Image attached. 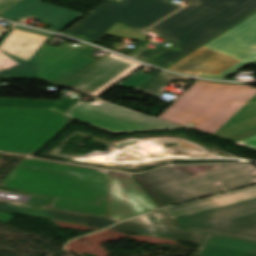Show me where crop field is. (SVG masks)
I'll return each instance as SVG.
<instances>
[{"instance_id":"crop-field-22","label":"crop field","mask_w":256,"mask_h":256,"mask_svg":"<svg viewBox=\"0 0 256 256\" xmlns=\"http://www.w3.org/2000/svg\"><path fill=\"white\" fill-rule=\"evenodd\" d=\"M218 165L174 167L191 178Z\"/></svg>"},{"instance_id":"crop-field-27","label":"crop field","mask_w":256,"mask_h":256,"mask_svg":"<svg viewBox=\"0 0 256 256\" xmlns=\"http://www.w3.org/2000/svg\"><path fill=\"white\" fill-rule=\"evenodd\" d=\"M143 47H145L144 45H140L139 47H137L129 56L133 57L136 53H138Z\"/></svg>"},{"instance_id":"crop-field-4","label":"crop field","mask_w":256,"mask_h":256,"mask_svg":"<svg viewBox=\"0 0 256 256\" xmlns=\"http://www.w3.org/2000/svg\"><path fill=\"white\" fill-rule=\"evenodd\" d=\"M256 60V14L167 69L225 79Z\"/></svg>"},{"instance_id":"crop-field-1","label":"crop field","mask_w":256,"mask_h":256,"mask_svg":"<svg viewBox=\"0 0 256 256\" xmlns=\"http://www.w3.org/2000/svg\"><path fill=\"white\" fill-rule=\"evenodd\" d=\"M170 1L109 0L63 34L94 42L117 21L140 31L180 8ZM180 1L190 4L145 31L167 39L172 45L155 52L144 50L136 59L166 68L256 13V0Z\"/></svg>"},{"instance_id":"crop-field-31","label":"crop field","mask_w":256,"mask_h":256,"mask_svg":"<svg viewBox=\"0 0 256 256\" xmlns=\"http://www.w3.org/2000/svg\"><path fill=\"white\" fill-rule=\"evenodd\" d=\"M118 1H121V0H118Z\"/></svg>"},{"instance_id":"crop-field-2","label":"crop field","mask_w":256,"mask_h":256,"mask_svg":"<svg viewBox=\"0 0 256 256\" xmlns=\"http://www.w3.org/2000/svg\"><path fill=\"white\" fill-rule=\"evenodd\" d=\"M109 172L24 158L0 187L53 198L50 208L106 217Z\"/></svg>"},{"instance_id":"crop-field-17","label":"crop field","mask_w":256,"mask_h":256,"mask_svg":"<svg viewBox=\"0 0 256 256\" xmlns=\"http://www.w3.org/2000/svg\"><path fill=\"white\" fill-rule=\"evenodd\" d=\"M256 128V94L213 136L224 140Z\"/></svg>"},{"instance_id":"crop-field-11","label":"crop field","mask_w":256,"mask_h":256,"mask_svg":"<svg viewBox=\"0 0 256 256\" xmlns=\"http://www.w3.org/2000/svg\"><path fill=\"white\" fill-rule=\"evenodd\" d=\"M94 51L57 48L44 44L41 46L38 68V80L50 82L62 87L74 79L98 60L88 57Z\"/></svg>"},{"instance_id":"crop-field-29","label":"crop field","mask_w":256,"mask_h":256,"mask_svg":"<svg viewBox=\"0 0 256 256\" xmlns=\"http://www.w3.org/2000/svg\"><path fill=\"white\" fill-rule=\"evenodd\" d=\"M8 32L7 28L0 26V37L2 34Z\"/></svg>"},{"instance_id":"crop-field-30","label":"crop field","mask_w":256,"mask_h":256,"mask_svg":"<svg viewBox=\"0 0 256 256\" xmlns=\"http://www.w3.org/2000/svg\"><path fill=\"white\" fill-rule=\"evenodd\" d=\"M172 222L177 226V228H179V229H183V228H182V226L177 222V220H176V219H175V220H173Z\"/></svg>"},{"instance_id":"crop-field-3","label":"crop field","mask_w":256,"mask_h":256,"mask_svg":"<svg viewBox=\"0 0 256 256\" xmlns=\"http://www.w3.org/2000/svg\"><path fill=\"white\" fill-rule=\"evenodd\" d=\"M255 93L246 85L197 80L158 117L212 135Z\"/></svg>"},{"instance_id":"crop-field-28","label":"crop field","mask_w":256,"mask_h":256,"mask_svg":"<svg viewBox=\"0 0 256 256\" xmlns=\"http://www.w3.org/2000/svg\"><path fill=\"white\" fill-rule=\"evenodd\" d=\"M60 47H67V48L75 47V48H76V47H78V46L62 44ZM80 47H81V48H82V47H85V45H81ZM87 47H88V46H87ZM89 48H91V47H89ZM91 49L95 50L94 48H91Z\"/></svg>"},{"instance_id":"crop-field-25","label":"crop field","mask_w":256,"mask_h":256,"mask_svg":"<svg viewBox=\"0 0 256 256\" xmlns=\"http://www.w3.org/2000/svg\"><path fill=\"white\" fill-rule=\"evenodd\" d=\"M19 0H0V13L13 6Z\"/></svg>"},{"instance_id":"crop-field-10","label":"crop field","mask_w":256,"mask_h":256,"mask_svg":"<svg viewBox=\"0 0 256 256\" xmlns=\"http://www.w3.org/2000/svg\"><path fill=\"white\" fill-rule=\"evenodd\" d=\"M53 35L15 26L0 41V77L36 79L40 46Z\"/></svg>"},{"instance_id":"crop-field-6","label":"crop field","mask_w":256,"mask_h":256,"mask_svg":"<svg viewBox=\"0 0 256 256\" xmlns=\"http://www.w3.org/2000/svg\"><path fill=\"white\" fill-rule=\"evenodd\" d=\"M72 120L47 109L0 107V151L31 156Z\"/></svg>"},{"instance_id":"crop-field-23","label":"crop field","mask_w":256,"mask_h":256,"mask_svg":"<svg viewBox=\"0 0 256 256\" xmlns=\"http://www.w3.org/2000/svg\"><path fill=\"white\" fill-rule=\"evenodd\" d=\"M152 76L145 75L143 73L137 72L127 80H125L123 83H121L119 86L126 87V88H133L140 83L146 81L147 79L151 78Z\"/></svg>"},{"instance_id":"crop-field-16","label":"crop field","mask_w":256,"mask_h":256,"mask_svg":"<svg viewBox=\"0 0 256 256\" xmlns=\"http://www.w3.org/2000/svg\"><path fill=\"white\" fill-rule=\"evenodd\" d=\"M196 256H256V242L207 234Z\"/></svg>"},{"instance_id":"crop-field-19","label":"crop field","mask_w":256,"mask_h":256,"mask_svg":"<svg viewBox=\"0 0 256 256\" xmlns=\"http://www.w3.org/2000/svg\"><path fill=\"white\" fill-rule=\"evenodd\" d=\"M174 79L185 80V81L191 80V78H185V77L175 76L169 73L161 72L158 75L154 76L153 78L135 87L134 89L156 97L159 94L161 87L167 85Z\"/></svg>"},{"instance_id":"crop-field-7","label":"crop field","mask_w":256,"mask_h":256,"mask_svg":"<svg viewBox=\"0 0 256 256\" xmlns=\"http://www.w3.org/2000/svg\"><path fill=\"white\" fill-rule=\"evenodd\" d=\"M64 115L111 134L183 128L99 99L79 101Z\"/></svg>"},{"instance_id":"crop-field-14","label":"crop field","mask_w":256,"mask_h":256,"mask_svg":"<svg viewBox=\"0 0 256 256\" xmlns=\"http://www.w3.org/2000/svg\"><path fill=\"white\" fill-rule=\"evenodd\" d=\"M42 0H21L6 12L0 15L12 21L18 22L25 15L38 18L37 21L51 24L47 29L61 32L83 14L76 13L47 3Z\"/></svg>"},{"instance_id":"crop-field-21","label":"crop field","mask_w":256,"mask_h":256,"mask_svg":"<svg viewBox=\"0 0 256 256\" xmlns=\"http://www.w3.org/2000/svg\"><path fill=\"white\" fill-rule=\"evenodd\" d=\"M134 178L138 181V183L147 191V193L154 199V201L160 206H166L173 204L167 197H165L161 192H159L154 187L150 186L143 180L139 178V176H134Z\"/></svg>"},{"instance_id":"crop-field-15","label":"crop field","mask_w":256,"mask_h":256,"mask_svg":"<svg viewBox=\"0 0 256 256\" xmlns=\"http://www.w3.org/2000/svg\"><path fill=\"white\" fill-rule=\"evenodd\" d=\"M256 198V186L162 209L169 219Z\"/></svg>"},{"instance_id":"crop-field-20","label":"crop field","mask_w":256,"mask_h":256,"mask_svg":"<svg viewBox=\"0 0 256 256\" xmlns=\"http://www.w3.org/2000/svg\"><path fill=\"white\" fill-rule=\"evenodd\" d=\"M0 210L49 218L43 208L28 206L18 202L0 200Z\"/></svg>"},{"instance_id":"crop-field-12","label":"crop field","mask_w":256,"mask_h":256,"mask_svg":"<svg viewBox=\"0 0 256 256\" xmlns=\"http://www.w3.org/2000/svg\"><path fill=\"white\" fill-rule=\"evenodd\" d=\"M140 66L128 59L109 54L64 87L96 97Z\"/></svg>"},{"instance_id":"crop-field-5","label":"crop field","mask_w":256,"mask_h":256,"mask_svg":"<svg viewBox=\"0 0 256 256\" xmlns=\"http://www.w3.org/2000/svg\"><path fill=\"white\" fill-rule=\"evenodd\" d=\"M174 203L256 182L250 163L220 165L192 179L169 167L139 175Z\"/></svg>"},{"instance_id":"crop-field-8","label":"crop field","mask_w":256,"mask_h":256,"mask_svg":"<svg viewBox=\"0 0 256 256\" xmlns=\"http://www.w3.org/2000/svg\"><path fill=\"white\" fill-rule=\"evenodd\" d=\"M131 176L112 172L108 219L44 209L50 218L54 220L106 227L126 217L156 208V205Z\"/></svg>"},{"instance_id":"crop-field-26","label":"crop field","mask_w":256,"mask_h":256,"mask_svg":"<svg viewBox=\"0 0 256 256\" xmlns=\"http://www.w3.org/2000/svg\"><path fill=\"white\" fill-rule=\"evenodd\" d=\"M253 134H256V129H253V130H251V131L245 132V133H243V134H241V135H238V136H236V137H234V138H231V139H229V140H227V141L236 142V141H238V140H241V139L246 138V137H248V136H251V135H253Z\"/></svg>"},{"instance_id":"crop-field-9","label":"crop field","mask_w":256,"mask_h":256,"mask_svg":"<svg viewBox=\"0 0 256 256\" xmlns=\"http://www.w3.org/2000/svg\"><path fill=\"white\" fill-rule=\"evenodd\" d=\"M177 220L186 230L256 240V199Z\"/></svg>"},{"instance_id":"crop-field-13","label":"crop field","mask_w":256,"mask_h":256,"mask_svg":"<svg viewBox=\"0 0 256 256\" xmlns=\"http://www.w3.org/2000/svg\"><path fill=\"white\" fill-rule=\"evenodd\" d=\"M110 229L153 237L187 241L196 244H200L204 236L203 233L177 229L161 210L124 221Z\"/></svg>"},{"instance_id":"crop-field-24","label":"crop field","mask_w":256,"mask_h":256,"mask_svg":"<svg viewBox=\"0 0 256 256\" xmlns=\"http://www.w3.org/2000/svg\"><path fill=\"white\" fill-rule=\"evenodd\" d=\"M236 143L248 146L250 148L256 149V135H253L251 137H248L246 139H243L241 141H238Z\"/></svg>"},{"instance_id":"crop-field-18","label":"crop field","mask_w":256,"mask_h":256,"mask_svg":"<svg viewBox=\"0 0 256 256\" xmlns=\"http://www.w3.org/2000/svg\"><path fill=\"white\" fill-rule=\"evenodd\" d=\"M78 100L77 98L68 99L64 97H61L57 101L0 98V106L47 108L62 114Z\"/></svg>"}]
</instances>
